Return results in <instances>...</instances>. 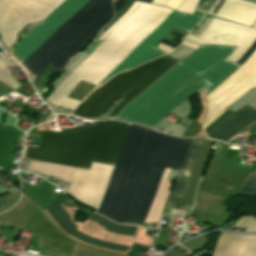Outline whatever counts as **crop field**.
Listing matches in <instances>:
<instances>
[{"mask_svg": "<svg viewBox=\"0 0 256 256\" xmlns=\"http://www.w3.org/2000/svg\"><path fill=\"white\" fill-rule=\"evenodd\" d=\"M171 12L172 10L170 9L142 2L127 19L112 30L87 59L80 63L65 78L55 92L48 97L47 100L49 103L72 109L78 102L66 97L80 80L97 85ZM200 19L201 16L184 15L173 11L117 68L102 80L98 86L120 71L128 70L147 59L163 54L154 47L170 29L175 27L189 33Z\"/></svg>", "mask_w": 256, "mask_h": 256, "instance_id": "8a807250", "label": "crop field"}, {"mask_svg": "<svg viewBox=\"0 0 256 256\" xmlns=\"http://www.w3.org/2000/svg\"><path fill=\"white\" fill-rule=\"evenodd\" d=\"M88 1L63 2L11 49L14 56L23 62ZM112 16L111 0H90L23 63L36 77L48 66L60 71L67 60L84 48Z\"/></svg>", "mask_w": 256, "mask_h": 256, "instance_id": "ac0d7876", "label": "crop field"}, {"mask_svg": "<svg viewBox=\"0 0 256 256\" xmlns=\"http://www.w3.org/2000/svg\"><path fill=\"white\" fill-rule=\"evenodd\" d=\"M128 126L108 122L93 161L115 165ZM157 136L142 127L130 126L99 214L117 223L126 222Z\"/></svg>", "mask_w": 256, "mask_h": 256, "instance_id": "34b2d1b8", "label": "crop field"}, {"mask_svg": "<svg viewBox=\"0 0 256 256\" xmlns=\"http://www.w3.org/2000/svg\"><path fill=\"white\" fill-rule=\"evenodd\" d=\"M233 49L201 46L127 105L116 118L153 128L177 106L173 103L176 99L223 62Z\"/></svg>", "mask_w": 256, "mask_h": 256, "instance_id": "412701ff", "label": "crop field"}, {"mask_svg": "<svg viewBox=\"0 0 256 256\" xmlns=\"http://www.w3.org/2000/svg\"><path fill=\"white\" fill-rule=\"evenodd\" d=\"M176 63L164 56L127 72L119 73L96 88L73 113L98 119L124 93L120 98L123 100L122 103L108 115L115 117L126 104Z\"/></svg>", "mask_w": 256, "mask_h": 256, "instance_id": "f4fd0767", "label": "crop field"}, {"mask_svg": "<svg viewBox=\"0 0 256 256\" xmlns=\"http://www.w3.org/2000/svg\"><path fill=\"white\" fill-rule=\"evenodd\" d=\"M192 138L159 134L126 223H143L164 167L180 170Z\"/></svg>", "mask_w": 256, "mask_h": 256, "instance_id": "dd49c442", "label": "crop field"}, {"mask_svg": "<svg viewBox=\"0 0 256 256\" xmlns=\"http://www.w3.org/2000/svg\"><path fill=\"white\" fill-rule=\"evenodd\" d=\"M115 166L94 163L92 162L90 172L86 170H80L71 167H63L39 162L30 161L29 165L27 166V171H36L43 174L51 175L57 178L68 179L71 180L73 174L75 175L72 179V182L69 186L67 191L72 197L78 199L79 194V201L93 207L99 208L101 199L103 197L104 191L107 187V184L110 180L112 175L113 169Z\"/></svg>", "mask_w": 256, "mask_h": 256, "instance_id": "e52e79f7", "label": "crop field"}, {"mask_svg": "<svg viewBox=\"0 0 256 256\" xmlns=\"http://www.w3.org/2000/svg\"><path fill=\"white\" fill-rule=\"evenodd\" d=\"M65 0H0V36L10 48L28 23L42 21Z\"/></svg>", "mask_w": 256, "mask_h": 256, "instance_id": "d8731c3e", "label": "crop field"}, {"mask_svg": "<svg viewBox=\"0 0 256 256\" xmlns=\"http://www.w3.org/2000/svg\"><path fill=\"white\" fill-rule=\"evenodd\" d=\"M255 87L256 51L231 77L221 83L206 97L209 112L205 128L229 105Z\"/></svg>", "mask_w": 256, "mask_h": 256, "instance_id": "5a996713", "label": "crop field"}, {"mask_svg": "<svg viewBox=\"0 0 256 256\" xmlns=\"http://www.w3.org/2000/svg\"><path fill=\"white\" fill-rule=\"evenodd\" d=\"M106 122L56 131H38L41 138L77 144L70 164L89 169Z\"/></svg>", "mask_w": 256, "mask_h": 256, "instance_id": "3316defc", "label": "crop field"}, {"mask_svg": "<svg viewBox=\"0 0 256 256\" xmlns=\"http://www.w3.org/2000/svg\"><path fill=\"white\" fill-rule=\"evenodd\" d=\"M256 39V30L238 24L213 19L199 38L188 35L186 40L199 44L237 46L227 60L236 63Z\"/></svg>", "mask_w": 256, "mask_h": 256, "instance_id": "28ad6ade", "label": "crop field"}, {"mask_svg": "<svg viewBox=\"0 0 256 256\" xmlns=\"http://www.w3.org/2000/svg\"><path fill=\"white\" fill-rule=\"evenodd\" d=\"M48 221L36 207L27 224L47 244L69 255L75 242L63 236Z\"/></svg>", "mask_w": 256, "mask_h": 256, "instance_id": "d1516ede", "label": "crop field"}, {"mask_svg": "<svg viewBox=\"0 0 256 256\" xmlns=\"http://www.w3.org/2000/svg\"><path fill=\"white\" fill-rule=\"evenodd\" d=\"M256 120V109L244 105L217 124L207 136L226 142L234 133Z\"/></svg>", "mask_w": 256, "mask_h": 256, "instance_id": "22f410ed", "label": "crop field"}, {"mask_svg": "<svg viewBox=\"0 0 256 256\" xmlns=\"http://www.w3.org/2000/svg\"><path fill=\"white\" fill-rule=\"evenodd\" d=\"M212 256H256V235L222 233Z\"/></svg>", "mask_w": 256, "mask_h": 256, "instance_id": "cbeb9de0", "label": "crop field"}, {"mask_svg": "<svg viewBox=\"0 0 256 256\" xmlns=\"http://www.w3.org/2000/svg\"><path fill=\"white\" fill-rule=\"evenodd\" d=\"M74 146L42 139L38 148L27 147L25 158L68 165Z\"/></svg>", "mask_w": 256, "mask_h": 256, "instance_id": "5142ce71", "label": "crop field"}, {"mask_svg": "<svg viewBox=\"0 0 256 256\" xmlns=\"http://www.w3.org/2000/svg\"><path fill=\"white\" fill-rule=\"evenodd\" d=\"M216 17L251 26L256 19V5L239 0H226Z\"/></svg>", "mask_w": 256, "mask_h": 256, "instance_id": "d9b57169", "label": "crop field"}, {"mask_svg": "<svg viewBox=\"0 0 256 256\" xmlns=\"http://www.w3.org/2000/svg\"><path fill=\"white\" fill-rule=\"evenodd\" d=\"M53 219L56 221V223L59 225L61 229L69 233L71 236L85 242L88 244H91L93 246H96L98 239L93 238L89 235H86L75 228L78 227L74 223L71 222V217L68 215V213L63 209V207L60 205L55 212L51 215ZM88 219L102 225L105 227L108 226L109 222L106 221L105 219L95 215L91 214Z\"/></svg>", "mask_w": 256, "mask_h": 256, "instance_id": "733c2abd", "label": "crop field"}, {"mask_svg": "<svg viewBox=\"0 0 256 256\" xmlns=\"http://www.w3.org/2000/svg\"><path fill=\"white\" fill-rule=\"evenodd\" d=\"M203 139L192 141L171 195L182 197Z\"/></svg>", "mask_w": 256, "mask_h": 256, "instance_id": "4a817a6b", "label": "crop field"}, {"mask_svg": "<svg viewBox=\"0 0 256 256\" xmlns=\"http://www.w3.org/2000/svg\"><path fill=\"white\" fill-rule=\"evenodd\" d=\"M239 66L240 65L225 60L221 65H219L211 73H209L204 79L205 82L210 85L208 88L205 89V93L208 94L210 91H212Z\"/></svg>", "mask_w": 256, "mask_h": 256, "instance_id": "bc2a9ffb", "label": "crop field"}, {"mask_svg": "<svg viewBox=\"0 0 256 256\" xmlns=\"http://www.w3.org/2000/svg\"><path fill=\"white\" fill-rule=\"evenodd\" d=\"M136 227H122V226H117L113 223H110L108 226L107 230L108 232L120 234V235H128V236H133L134 231ZM98 247H103L111 250H117V251H123L126 252L129 246L126 245H121V244H115V243H110L106 241H99L97 244Z\"/></svg>", "mask_w": 256, "mask_h": 256, "instance_id": "214f88e0", "label": "crop field"}, {"mask_svg": "<svg viewBox=\"0 0 256 256\" xmlns=\"http://www.w3.org/2000/svg\"><path fill=\"white\" fill-rule=\"evenodd\" d=\"M12 65H14V63L11 60H9L5 55L0 57V80L16 88L19 84L11 77L6 68Z\"/></svg>", "mask_w": 256, "mask_h": 256, "instance_id": "92a150f3", "label": "crop field"}, {"mask_svg": "<svg viewBox=\"0 0 256 256\" xmlns=\"http://www.w3.org/2000/svg\"><path fill=\"white\" fill-rule=\"evenodd\" d=\"M240 192L256 194V164L244 182Z\"/></svg>", "mask_w": 256, "mask_h": 256, "instance_id": "dafd665d", "label": "crop field"}, {"mask_svg": "<svg viewBox=\"0 0 256 256\" xmlns=\"http://www.w3.org/2000/svg\"><path fill=\"white\" fill-rule=\"evenodd\" d=\"M192 50H189L187 48L184 47H177L176 49H174L171 53L167 54L170 57L174 58L177 61H182L187 55H189L190 53H192Z\"/></svg>", "mask_w": 256, "mask_h": 256, "instance_id": "00972430", "label": "crop field"}, {"mask_svg": "<svg viewBox=\"0 0 256 256\" xmlns=\"http://www.w3.org/2000/svg\"><path fill=\"white\" fill-rule=\"evenodd\" d=\"M236 226L247 228L245 232H256V220L253 219H240Z\"/></svg>", "mask_w": 256, "mask_h": 256, "instance_id": "a9b5d70f", "label": "crop field"}, {"mask_svg": "<svg viewBox=\"0 0 256 256\" xmlns=\"http://www.w3.org/2000/svg\"><path fill=\"white\" fill-rule=\"evenodd\" d=\"M183 1L184 0H153L152 3L167 6L176 10Z\"/></svg>", "mask_w": 256, "mask_h": 256, "instance_id": "4177f3b9", "label": "crop field"}, {"mask_svg": "<svg viewBox=\"0 0 256 256\" xmlns=\"http://www.w3.org/2000/svg\"><path fill=\"white\" fill-rule=\"evenodd\" d=\"M204 85L203 81L201 80L196 85H194L191 89H189L184 95H182L175 103L181 104L183 103L189 96H191L195 91L201 88Z\"/></svg>", "mask_w": 256, "mask_h": 256, "instance_id": "730fd06b", "label": "crop field"}, {"mask_svg": "<svg viewBox=\"0 0 256 256\" xmlns=\"http://www.w3.org/2000/svg\"><path fill=\"white\" fill-rule=\"evenodd\" d=\"M198 0H185L179 7L178 11L192 13Z\"/></svg>", "mask_w": 256, "mask_h": 256, "instance_id": "eef30255", "label": "crop field"}, {"mask_svg": "<svg viewBox=\"0 0 256 256\" xmlns=\"http://www.w3.org/2000/svg\"><path fill=\"white\" fill-rule=\"evenodd\" d=\"M138 5H139V2L134 1L132 7L121 17V19H120L119 21L117 20L118 22H116L106 33H104L100 39H104V38L111 32V30H112L116 25H118L122 20H124L126 17H128V16L132 13V11H133Z\"/></svg>", "mask_w": 256, "mask_h": 256, "instance_id": "ae1a2a85", "label": "crop field"}, {"mask_svg": "<svg viewBox=\"0 0 256 256\" xmlns=\"http://www.w3.org/2000/svg\"><path fill=\"white\" fill-rule=\"evenodd\" d=\"M65 196V195H64ZM61 193L52 201V203L45 209L49 215L57 208V206L62 202L64 197ZM64 201V200H63Z\"/></svg>", "mask_w": 256, "mask_h": 256, "instance_id": "d3111659", "label": "crop field"}, {"mask_svg": "<svg viewBox=\"0 0 256 256\" xmlns=\"http://www.w3.org/2000/svg\"><path fill=\"white\" fill-rule=\"evenodd\" d=\"M212 18H205L203 22L197 27V29L194 31L193 35L199 36L209 25Z\"/></svg>", "mask_w": 256, "mask_h": 256, "instance_id": "750c4746", "label": "crop field"}, {"mask_svg": "<svg viewBox=\"0 0 256 256\" xmlns=\"http://www.w3.org/2000/svg\"><path fill=\"white\" fill-rule=\"evenodd\" d=\"M255 49H256V40L251 45V47L244 53V55L239 59L237 63L241 65L244 61H246L249 58V56L254 52Z\"/></svg>", "mask_w": 256, "mask_h": 256, "instance_id": "bd1437ed", "label": "crop field"}, {"mask_svg": "<svg viewBox=\"0 0 256 256\" xmlns=\"http://www.w3.org/2000/svg\"><path fill=\"white\" fill-rule=\"evenodd\" d=\"M213 1L214 0H202V2L200 3V5L197 8V11L205 13Z\"/></svg>", "mask_w": 256, "mask_h": 256, "instance_id": "1d83c4d3", "label": "crop field"}, {"mask_svg": "<svg viewBox=\"0 0 256 256\" xmlns=\"http://www.w3.org/2000/svg\"><path fill=\"white\" fill-rule=\"evenodd\" d=\"M224 1L225 0H217L216 4L214 5V7L210 10V12L208 14L215 16L217 14V12L220 10V8L222 7Z\"/></svg>", "mask_w": 256, "mask_h": 256, "instance_id": "120bbe31", "label": "crop field"}, {"mask_svg": "<svg viewBox=\"0 0 256 256\" xmlns=\"http://www.w3.org/2000/svg\"><path fill=\"white\" fill-rule=\"evenodd\" d=\"M181 45H184V46H186V47L192 48V49H194V50H196L198 47H200V45H198V44H194V43L187 42V41H183V42L181 43Z\"/></svg>", "mask_w": 256, "mask_h": 256, "instance_id": "d32e631a", "label": "crop field"}, {"mask_svg": "<svg viewBox=\"0 0 256 256\" xmlns=\"http://www.w3.org/2000/svg\"><path fill=\"white\" fill-rule=\"evenodd\" d=\"M126 1L124 0H117L114 4L116 6V12L123 6V4L125 3Z\"/></svg>", "mask_w": 256, "mask_h": 256, "instance_id": "5866460e", "label": "crop field"}, {"mask_svg": "<svg viewBox=\"0 0 256 256\" xmlns=\"http://www.w3.org/2000/svg\"><path fill=\"white\" fill-rule=\"evenodd\" d=\"M185 213H186L185 211L173 209L171 214H173V215H185Z\"/></svg>", "mask_w": 256, "mask_h": 256, "instance_id": "028f5c9d", "label": "crop field"}, {"mask_svg": "<svg viewBox=\"0 0 256 256\" xmlns=\"http://www.w3.org/2000/svg\"><path fill=\"white\" fill-rule=\"evenodd\" d=\"M140 1H145V2H149V3L151 2V0H140Z\"/></svg>", "mask_w": 256, "mask_h": 256, "instance_id": "e1f06a70", "label": "crop field"}]
</instances>
